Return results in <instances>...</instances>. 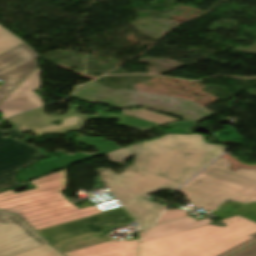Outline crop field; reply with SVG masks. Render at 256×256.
Segmentation results:
<instances>
[{"label":"crop field","instance_id":"1","mask_svg":"<svg viewBox=\"0 0 256 256\" xmlns=\"http://www.w3.org/2000/svg\"><path fill=\"white\" fill-rule=\"evenodd\" d=\"M224 150L223 146L206 143L200 134H168L156 141L107 154L111 161L122 163L136 153L167 152L149 173L131 168L120 176L111 169L97 172L108 183L110 191L140 221L143 232L155 223L164 206L142 198L160 189H177Z\"/></svg>","mask_w":256,"mask_h":256},{"label":"crop field","instance_id":"2","mask_svg":"<svg viewBox=\"0 0 256 256\" xmlns=\"http://www.w3.org/2000/svg\"><path fill=\"white\" fill-rule=\"evenodd\" d=\"M132 222L133 218L121 207L38 232L67 256H136L137 239L118 242L106 237L109 229Z\"/></svg>","mask_w":256,"mask_h":256},{"label":"crop field","instance_id":"3","mask_svg":"<svg viewBox=\"0 0 256 256\" xmlns=\"http://www.w3.org/2000/svg\"><path fill=\"white\" fill-rule=\"evenodd\" d=\"M32 183L38 189L0 192V209L20 215L36 230L102 212L97 206L79 209L61 192L67 189L66 169Z\"/></svg>","mask_w":256,"mask_h":256},{"label":"crop field","instance_id":"4","mask_svg":"<svg viewBox=\"0 0 256 256\" xmlns=\"http://www.w3.org/2000/svg\"><path fill=\"white\" fill-rule=\"evenodd\" d=\"M227 227L205 225L140 245V256H217L253 237L256 223L242 216L222 220Z\"/></svg>","mask_w":256,"mask_h":256},{"label":"crop field","instance_id":"5","mask_svg":"<svg viewBox=\"0 0 256 256\" xmlns=\"http://www.w3.org/2000/svg\"><path fill=\"white\" fill-rule=\"evenodd\" d=\"M229 166L228 160L219 158L179 191L210 211L226 198L243 203L256 200V169L233 172Z\"/></svg>","mask_w":256,"mask_h":256},{"label":"crop field","instance_id":"6","mask_svg":"<svg viewBox=\"0 0 256 256\" xmlns=\"http://www.w3.org/2000/svg\"><path fill=\"white\" fill-rule=\"evenodd\" d=\"M76 111V108L70 107L69 111L64 115L49 116L44 113L43 108H38L7 121L22 133L31 130L39 136L45 133H65L69 129H82L87 120L99 118L119 119L121 121L118 124L142 132L178 120L143 109H134L133 111L122 110L121 115L97 113L95 116L80 114ZM62 118L64 119L61 125L51 124Z\"/></svg>","mask_w":256,"mask_h":256},{"label":"crop field","instance_id":"7","mask_svg":"<svg viewBox=\"0 0 256 256\" xmlns=\"http://www.w3.org/2000/svg\"><path fill=\"white\" fill-rule=\"evenodd\" d=\"M4 134L11 137L5 138ZM24 137L17 130L0 129V191L17 185L15 171L46 155L16 140ZM12 138H17L13 140Z\"/></svg>","mask_w":256,"mask_h":256},{"label":"crop field","instance_id":"8","mask_svg":"<svg viewBox=\"0 0 256 256\" xmlns=\"http://www.w3.org/2000/svg\"><path fill=\"white\" fill-rule=\"evenodd\" d=\"M38 57L27 44L0 55V79L6 82L0 86V102L38 68Z\"/></svg>","mask_w":256,"mask_h":256},{"label":"crop field","instance_id":"9","mask_svg":"<svg viewBox=\"0 0 256 256\" xmlns=\"http://www.w3.org/2000/svg\"><path fill=\"white\" fill-rule=\"evenodd\" d=\"M44 244L18 217L0 210V256H15Z\"/></svg>","mask_w":256,"mask_h":256},{"label":"crop field","instance_id":"10","mask_svg":"<svg viewBox=\"0 0 256 256\" xmlns=\"http://www.w3.org/2000/svg\"><path fill=\"white\" fill-rule=\"evenodd\" d=\"M78 136L79 141L83 144L89 145L91 147L96 148L99 152L95 154H87V153H77L75 155L59 159V160H47L44 161L41 167L33 169L21 176L22 183L30 181L32 179L44 176L46 174L58 171L60 169L66 168L72 164L91 159L103 154H107L119 149H122L115 143L107 142L102 139L89 138L86 136H82L79 134H75Z\"/></svg>","mask_w":256,"mask_h":256},{"label":"crop field","instance_id":"11","mask_svg":"<svg viewBox=\"0 0 256 256\" xmlns=\"http://www.w3.org/2000/svg\"><path fill=\"white\" fill-rule=\"evenodd\" d=\"M41 72L38 68L0 103V113L3 114V119L43 105L40 96L32 91L41 87L39 78Z\"/></svg>","mask_w":256,"mask_h":256},{"label":"crop field","instance_id":"12","mask_svg":"<svg viewBox=\"0 0 256 256\" xmlns=\"http://www.w3.org/2000/svg\"><path fill=\"white\" fill-rule=\"evenodd\" d=\"M211 222H212L211 218L197 221L194 218L190 217V218L162 224V225L151 228L145 234H143L141 237V243L158 238V237H162L165 235L189 230V229L199 227Z\"/></svg>","mask_w":256,"mask_h":256},{"label":"crop field","instance_id":"13","mask_svg":"<svg viewBox=\"0 0 256 256\" xmlns=\"http://www.w3.org/2000/svg\"><path fill=\"white\" fill-rule=\"evenodd\" d=\"M217 216L227 219L236 215H242L256 222V203L242 204L235 202L233 204L224 202L216 211Z\"/></svg>","mask_w":256,"mask_h":256},{"label":"crop field","instance_id":"14","mask_svg":"<svg viewBox=\"0 0 256 256\" xmlns=\"http://www.w3.org/2000/svg\"><path fill=\"white\" fill-rule=\"evenodd\" d=\"M165 153L137 154L131 168L149 172Z\"/></svg>","mask_w":256,"mask_h":256},{"label":"crop field","instance_id":"15","mask_svg":"<svg viewBox=\"0 0 256 256\" xmlns=\"http://www.w3.org/2000/svg\"><path fill=\"white\" fill-rule=\"evenodd\" d=\"M22 40L0 26V54L23 44Z\"/></svg>","mask_w":256,"mask_h":256},{"label":"crop field","instance_id":"16","mask_svg":"<svg viewBox=\"0 0 256 256\" xmlns=\"http://www.w3.org/2000/svg\"><path fill=\"white\" fill-rule=\"evenodd\" d=\"M197 123L195 122H188V121H182V120H178L175 121L173 123L161 126V127H169L170 132L173 133H192V129L193 127L196 125ZM159 127V128H161ZM158 129V128H156Z\"/></svg>","mask_w":256,"mask_h":256},{"label":"crop field","instance_id":"17","mask_svg":"<svg viewBox=\"0 0 256 256\" xmlns=\"http://www.w3.org/2000/svg\"><path fill=\"white\" fill-rule=\"evenodd\" d=\"M18 256H62V255L58 251H56L52 246L47 244L42 247L20 254Z\"/></svg>","mask_w":256,"mask_h":256},{"label":"crop field","instance_id":"18","mask_svg":"<svg viewBox=\"0 0 256 256\" xmlns=\"http://www.w3.org/2000/svg\"><path fill=\"white\" fill-rule=\"evenodd\" d=\"M187 212L181 210V209H177V210H167L165 211L163 217L158 221L157 224L168 221V220H172V219H176V218H180L183 216H187Z\"/></svg>","mask_w":256,"mask_h":256},{"label":"crop field","instance_id":"19","mask_svg":"<svg viewBox=\"0 0 256 256\" xmlns=\"http://www.w3.org/2000/svg\"><path fill=\"white\" fill-rule=\"evenodd\" d=\"M252 236H254L255 238L250 240V241H248V242H246V243H244V244H242V245H240V246H238V247H235V248H233V249H231V250H229V251H227V252H225V253H223V254H221L219 256H230V255L240 251L241 249L249 246L250 244L256 242V234H254Z\"/></svg>","mask_w":256,"mask_h":256},{"label":"crop field","instance_id":"20","mask_svg":"<svg viewBox=\"0 0 256 256\" xmlns=\"http://www.w3.org/2000/svg\"><path fill=\"white\" fill-rule=\"evenodd\" d=\"M256 244V243H255ZM254 245V244H253ZM252 246V245H251ZM250 247V246H249ZM248 248V247H247ZM246 249V248H245ZM244 250V249H243ZM242 251V250H241ZM234 256H256V245L234 255Z\"/></svg>","mask_w":256,"mask_h":256}]
</instances>
